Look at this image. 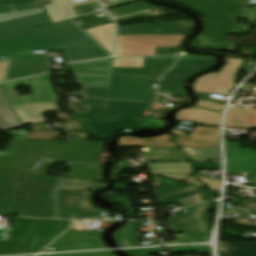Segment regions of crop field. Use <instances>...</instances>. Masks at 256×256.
Instances as JSON below:
<instances>
[{"label": "crop field", "mask_w": 256, "mask_h": 256, "mask_svg": "<svg viewBox=\"0 0 256 256\" xmlns=\"http://www.w3.org/2000/svg\"><path fill=\"white\" fill-rule=\"evenodd\" d=\"M54 49H64L68 62L111 55L71 20L0 38V60L12 58L6 81L48 71L46 55L31 51Z\"/></svg>", "instance_id": "1"}, {"label": "crop field", "mask_w": 256, "mask_h": 256, "mask_svg": "<svg viewBox=\"0 0 256 256\" xmlns=\"http://www.w3.org/2000/svg\"><path fill=\"white\" fill-rule=\"evenodd\" d=\"M186 6L205 19L204 32L189 44L205 50L232 51L234 42L229 35L241 36L256 23V11L247 10L250 0H178L170 1ZM236 18H250L251 26L234 24Z\"/></svg>", "instance_id": "2"}, {"label": "crop field", "mask_w": 256, "mask_h": 256, "mask_svg": "<svg viewBox=\"0 0 256 256\" xmlns=\"http://www.w3.org/2000/svg\"><path fill=\"white\" fill-rule=\"evenodd\" d=\"M151 104L109 101L108 107L85 106L83 114H72L85 129L99 139L108 140L117 130L165 127L163 120H139Z\"/></svg>", "instance_id": "3"}, {"label": "crop field", "mask_w": 256, "mask_h": 256, "mask_svg": "<svg viewBox=\"0 0 256 256\" xmlns=\"http://www.w3.org/2000/svg\"><path fill=\"white\" fill-rule=\"evenodd\" d=\"M70 222L15 217L8 235L0 240V255L39 252Z\"/></svg>", "instance_id": "4"}, {"label": "crop field", "mask_w": 256, "mask_h": 256, "mask_svg": "<svg viewBox=\"0 0 256 256\" xmlns=\"http://www.w3.org/2000/svg\"><path fill=\"white\" fill-rule=\"evenodd\" d=\"M60 178L25 174L15 215L57 218L54 190Z\"/></svg>", "instance_id": "5"}, {"label": "crop field", "mask_w": 256, "mask_h": 256, "mask_svg": "<svg viewBox=\"0 0 256 256\" xmlns=\"http://www.w3.org/2000/svg\"><path fill=\"white\" fill-rule=\"evenodd\" d=\"M103 152L102 143L53 141L46 146L26 173L46 175L55 160L98 163Z\"/></svg>", "instance_id": "6"}, {"label": "crop field", "mask_w": 256, "mask_h": 256, "mask_svg": "<svg viewBox=\"0 0 256 256\" xmlns=\"http://www.w3.org/2000/svg\"><path fill=\"white\" fill-rule=\"evenodd\" d=\"M152 84L112 81L111 88L85 86L86 98L154 103Z\"/></svg>", "instance_id": "7"}, {"label": "crop field", "mask_w": 256, "mask_h": 256, "mask_svg": "<svg viewBox=\"0 0 256 256\" xmlns=\"http://www.w3.org/2000/svg\"><path fill=\"white\" fill-rule=\"evenodd\" d=\"M185 36H117L115 56L155 55V47H181V42Z\"/></svg>", "instance_id": "8"}, {"label": "crop field", "mask_w": 256, "mask_h": 256, "mask_svg": "<svg viewBox=\"0 0 256 256\" xmlns=\"http://www.w3.org/2000/svg\"><path fill=\"white\" fill-rule=\"evenodd\" d=\"M51 78L52 75L51 73H49L41 77L3 83L0 84V90L4 95L5 99L7 100L8 104L57 101L50 82ZM19 84L31 87L32 95H18L14 89L17 88Z\"/></svg>", "instance_id": "9"}, {"label": "crop field", "mask_w": 256, "mask_h": 256, "mask_svg": "<svg viewBox=\"0 0 256 256\" xmlns=\"http://www.w3.org/2000/svg\"><path fill=\"white\" fill-rule=\"evenodd\" d=\"M92 192L57 191L59 217L69 219L74 214L76 219L101 216L102 210L90 201Z\"/></svg>", "instance_id": "10"}, {"label": "crop field", "mask_w": 256, "mask_h": 256, "mask_svg": "<svg viewBox=\"0 0 256 256\" xmlns=\"http://www.w3.org/2000/svg\"><path fill=\"white\" fill-rule=\"evenodd\" d=\"M114 58L68 64L80 85L110 87Z\"/></svg>", "instance_id": "11"}, {"label": "crop field", "mask_w": 256, "mask_h": 256, "mask_svg": "<svg viewBox=\"0 0 256 256\" xmlns=\"http://www.w3.org/2000/svg\"><path fill=\"white\" fill-rule=\"evenodd\" d=\"M228 64L218 74H210L198 78L193 86L196 91L205 93L229 94L233 89L236 74L241 60L227 59Z\"/></svg>", "instance_id": "12"}, {"label": "crop field", "mask_w": 256, "mask_h": 256, "mask_svg": "<svg viewBox=\"0 0 256 256\" xmlns=\"http://www.w3.org/2000/svg\"><path fill=\"white\" fill-rule=\"evenodd\" d=\"M211 203L188 208L189 213L176 214L174 228L186 233L188 237L209 235L207 221Z\"/></svg>", "instance_id": "13"}, {"label": "crop field", "mask_w": 256, "mask_h": 256, "mask_svg": "<svg viewBox=\"0 0 256 256\" xmlns=\"http://www.w3.org/2000/svg\"><path fill=\"white\" fill-rule=\"evenodd\" d=\"M227 172H249L252 186L256 187V152L240 149V143L227 142Z\"/></svg>", "instance_id": "14"}, {"label": "crop field", "mask_w": 256, "mask_h": 256, "mask_svg": "<svg viewBox=\"0 0 256 256\" xmlns=\"http://www.w3.org/2000/svg\"><path fill=\"white\" fill-rule=\"evenodd\" d=\"M24 172L5 170L0 178V215H12Z\"/></svg>", "instance_id": "15"}, {"label": "crop field", "mask_w": 256, "mask_h": 256, "mask_svg": "<svg viewBox=\"0 0 256 256\" xmlns=\"http://www.w3.org/2000/svg\"><path fill=\"white\" fill-rule=\"evenodd\" d=\"M100 236L101 232L69 230L51 247L56 251L105 248Z\"/></svg>", "instance_id": "16"}, {"label": "crop field", "mask_w": 256, "mask_h": 256, "mask_svg": "<svg viewBox=\"0 0 256 256\" xmlns=\"http://www.w3.org/2000/svg\"><path fill=\"white\" fill-rule=\"evenodd\" d=\"M192 27V21L123 26L118 27L117 35L188 34Z\"/></svg>", "instance_id": "17"}, {"label": "crop field", "mask_w": 256, "mask_h": 256, "mask_svg": "<svg viewBox=\"0 0 256 256\" xmlns=\"http://www.w3.org/2000/svg\"><path fill=\"white\" fill-rule=\"evenodd\" d=\"M216 58H199L189 57L188 59H179L175 68L165 74L164 77H174L179 79H187L190 75L201 70L208 69L214 66ZM161 83L184 85L185 81L174 79H162Z\"/></svg>", "instance_id": "18"}, {"label": "crop field", "mask_w": 256, "mask_h": 256, "mask_svg": "<svg viewBox=\"0 0 256 256\" xmlns=\"http://www.w3.org/2000/svg\"><path fill=\"white\" fill-rule=\"evenodd\" d=\"M177 59L178 57L144 58L145 68H113V73L162 77L164 71L172 68Z\"/></svg>", "instance_id": "19"}, {"label": "crop field", "mask_w": 256, "mask_h": 256, "mask_svg": "<svg viewBox=\"0 0 256 256\" xmlns=\"http://www.w3.org/2000/svg\"><path fill=\"white\" fill-rule=\"evenodd\" d=\"M172 132L179 135L176 141L180 146H218L217 128L195 126L190 137L176 128Z\"/></svg>", "instance_id": "20"}, {"label": "crop field", "mask_w": 256, "mask_h": 256, "mask_svg": "<svg viewBox=\"0 0 256 256\" xmlns=\"http://www.w3.org/2000/svg\"><path fill=\"white\" fill-rule=\"evenodd\" d=\"M22 124L46 122L43 119L45 112H58L55 102L11 105Z\"/></svg>", "instance_id": "21"}, {"label": "crop field", "mask_w": 256, "mask_h": 256, "mask_svg": "<svg viewBox=\"0 0 256 256\" xmlns=\"http://www.w3.org/2000/svg\"><path fill=\"white\" fill-rule=\"evenodd\" d=\"M47 12L0 23V36L51 24Z\"/></svg>", "instance_id": "22"}, {"label": "crop field", "mask_w": 256, "mask_h": 256, "mask_svg": "<svg viewBox=\"0 0 256 256\" xmlns=\"http://www.w3.org/2000/svg\"><path fill=\"white\" fill-rule=\"evenodd\" d=\"M49 143L47 141H25L18 150L7 169L25 171L40 151Z\"/></svg>", "instance_id": "23"}, {"label": "crop field", "mask_w": 256, "mask_h": 256, "mask_svg": "<svg viewBox=\"0 0 256 256\" xmlns=\"http://www.w3.org/2000/svg\"><path fill=\"white\" fill-rule=\"evenodd\" d=\"M152 175L184 182L192 174L189 163H151L147 164Z\"/></svg>", "instance_id": "24"}, {"label": "crop field", "mask_w": 256, "mask_h": 256, "mask_svg": "<svg viewBox=\"0 0 256 256\" xmlns=\"http://www.w3.org/2000/svg\"><path fill=\"white\" fill-rule=\"evenodd\" d=\"M53 4L45 5L47 12L50 14L53 22H59L71 18H75L76 15L72 9V6L88 4L97 2V0H88L82 2H73L71 0H53Z\"/></svg>", "instance_id": "25"}, {"label": "crop field", "mask_w": 256, "mask_h": 256, "mask_svg": "<svg viewBox=\"0 0 256 256\" xmlns=\"http://www.w3.org/2000/svg\"><path fill=\"white\" fill-rule=\"evenodd\" d=\"M220 113L198 108H189L177 113L178 121L197 122L209 126L218 127Z\"/></svg>", "instance_id": "26"}, {"label": "crop field", "mask_w": 256, "mask_h": 256, "mask_svg": "<svg viewBox=\"0 0 256 256\" xmlns=\"http://www.w3.org/2000/svg\"><path fill=\"white\" fill-rule=\"evenodd\" d=\"M43 11L38 2L0 5V22Z\"/></svg>", "instance_id": "27"}, {"label": "crop field", "mask_w": 256, "mask_h": 256, "mask_svg": "<svg viewBox=\"0 0 256 256\" xmlns=\"http://www.w3.org/2000/svg\"><path fill=\"white\" fill-rule=\"evenodd\" d=\"M7 135L13 134L11 140L9 141L6 148L0 152V176L12 161L13 157L15 156L17 150L19 149L22 142L25 140L28 132L26 129L17 130L12 132H6Z\"/></svg>", "instance_id": "28"}, {"label": "crop field", "mask_w": 256, "mask_h": 256, "mask_svg": "<svg viewBox=\"0 0 256 256\" xmlns=\"http://www.w3.org/2000/svg\"><path fill=\"white\" fill-rule=\"evenodd\" d=\"M71 166L72 170L65 175V179L105 181L101 176L103 168L98 164H71Z\"/></svg>", "instance_id": "29"}, {"label": "crop field", "mask_w": 256, "mask_h": 256, "mask_svg": "<svg viewBox=\"0 0 256 256\" xmlns=\"http://www.w3.org/2000/svg\"><path fill=\"white\" fill-rule=\"evenodd\" d=\"M147 162L156 161H186L187 158L177 148L142 149Z\"/></svg>", "instance_id": "30"}, {"label": "crop field", "mask_w": 256, "mask_h": 256, "mask_svg": "<svg viewBox=\"0 0 256 256\" xmlns=\"http://www.w3.org/2000/svg\"><path fill=\"white\" fill-rule=\"evenodd\" d=\"M171 135H163L152 139H134L129 137L120 138V147H176L175 144L168 142Z\"/></svg>", "instance_id": "31"}, {"label": "crop field", "mask_w": 256, "mask_h": 256, "mask_svg": "<svg viewBox=\"0 0 256 256\" xmlns=\"http://www.w3.org/2000/svg\"><path fill=\"white\" fill-rule=\"evenodd\" d=\"M114 24L111 23V24L85 30L111 54L113 51V41H114V32H115Z\"/></svg>", "instance_id": "32"}, {"label": "crop field", "mask_w": 256, "mask_h": 256, "mask_svg": "<svg viewBox=\"0 0 256 256\" xmlns=\"http://www.w3.org/2000/svg\"><path fill=\"white\" fill-rule=\"evenodd\" d=\"M130 223L129 226H124L118 231L114 232V236L116 241L120 247H130V246H146V245H135V238L137 237L135 232V227L137 225V221H128ZM128 236V238H125ZM161 244L160 241H151V244L147 245H156Z\"/></svg>", "instance_id": "33"}, {"label": "crop field", "mask_w": 256, "mask_h": 256, "mask_svg": "<svg viewBox=\"0 0 256 256\" xmlns=\"http://www.w3.org/2000/svg\"><path fill=\"white\" fill-rule=\"evenodd\" d=\"M228 256H256V242L222 243ZM225 256V253H220Z\"/></svg>", "instance_id": "34"}, {"label": "crop field", "mask_w": 256, "mask_h": 256, "mask_svg": "<svg viewBox=\"0 0 256 256\" xmlns=\"http://www.w3.org/2000/svg\"><path fill=\"white\" fill-rule=\"evenodd\" d=\"M18 126H21L20 122L0 92V129L8 130Z\"/></svg>", "instance_id": "35"}, {"label": "crop field", "mask_w": 256, "mask_h": 256, "mask_svg": "<svg viewBox=\"0 0 256 256\" xmlns=\"http://www.w3.org/2000/svg\"><path fill=\"white\" fill-rule=\"evenodd\" d=\"M190 161L219 160L218 148H183Z\"/></svg>", "instance_id": "36"}, {"label": "crop field", "mask_w": 256, "mask_h": 256, "mask_svg": "<svg viewBox=\"0 0 256 256\" xmlns=\"http://www.w3.org/2000/svg\"><path fill=\"white\" fill-rule=\"evenodd\" d=\"M84 29L113 22L106 12L74 19Z\"/></svg>", "instance_id": "37"}, {"label": "crop field", "mask_w": 256, "mask_h": 256, "mask_svg": "<svg viewBox=\"0 0 256 256\" xmlns=\"http://www.w3.org/2000/svg\"><path fill=\"white\" fill-rule=\"evenodd\" d=\"M154 6L142 1L135 4L127 5L117 9L109 10V13L114 17H120L134 12L142 11L145 9L153 8Z\"/></svg>", "instance_id": "38"}, {"label": "crop field", "mask_w": 256, "mask_h": 256, "mask_svg": "<svg viewBox=\"0 0 256 256\" xmlns=\"http://www.w3.org/2000/svg\"><path fill=\"white\" fill-rule=\"evenodd\" d=\"M226 127L256 128V119L227 118Z\"/></svg>", "instance_id": "39"}, {"label": "crop field", "mask_w": 256, "mask_h": 256, "mask_svg": "<svg viewBox=\"0 0 256 256\" xmlns=\"http://www.w3.org/2000/svg\"><path fill=\"white\" fill-rule=\"evenodd\" d=\"M114 67H144L143 58H115Z\"/></svg>", "instance_id": "40"}, {"label": "crop field", "mask_w": 256, "mask_h": 256, "mask_svg": "<svg viewBox=\"0 0 256 256\" xmlns=\"http://www.w3.org/2000/svg\"><path fill=\"white\" fill-rule=\"evenodd\" d=\"M94 184V182L89 181H71L63 179L59 189H87Z\"/></svg>", "instance_id": "41"}, {"label": "crop field", "mask_w": 256, "mask_h": 256, "mask_svg": "<svg viewBox=\"0 0 256 256\" xmlns=\"http://www.w3.org/2000/svg\"><path fill=\"white\" fill-rule=\"evenodd\" d=\"M159 93L171 94V96H186L184 86L178 85L161 84L159 87Z\"/></svg>", "instance_id": "42"}, {"label": "crop field", "mask_w": 256, "mask_h": 256, "mask_svg": "<svg viewBox=\"0 0 256 256\" xmlns=\"http://www.w3.org/2000/svg\"><path fill=\"white\" fill-rule=\"evenodd\" d=\"M228 117L256 118V109H242L231 107Z\"/></svg>", "instance_id": "43"}, {"label": "crop field", "mask_w": 256, "mask_h": 256, "mask_svg": "<svg viewBox=\"0 0 256 256\" xmlns=\"http://www.w3.org/2000/svg\"><path fill=\"white\" fill-rule=\"evenodd\" d=\"M160 78L148 77V76H130V75H114L112 80L122 81H143V82H158Z\"/></svg>", "instance_id": "44"}, {"label": "crop field", "mask_w": 256, "mask_h": 256, "mask_svg": "<svg viewBox=\"0 0 256 256\" xmlns=\"http://www.w3.org/2000/svg\"><path fill=\"white\" fill-rule=\"evenodd\" d=\"M72 96H82L83 99L78 100L81 105L107 106L108 101L85 99L84 86H81V93H71Z\"/></svg>", "instance_id": "45"}, {"label": "crop field", "mask_w": 256, "mask_h": 256, "mask_svg": "<svg viewBox=\"0 0 256 256\" xmlns=\"http://www.w3.org/2000/svg\"><path fill=\"white\" fill-rule=\"evenodd\" d=\"M168 249L171 251V253L192 251H199L200 253H210V249L208 246L168 247Z\"/></svg>", "instance_id": "46"}, {"label": "crop field", "mask_w": 256, "mask_h": 256, "mask_svg": "<svg viewBox=\"0 0 256 256\" xmlns=\"http://www.w3.org/2000/svg\"><path fill=\"white\" fill-rule=\"evenodd\" d=\"M190 178V177H189ZM199 180H201L202 182L208 184L211 188L212 191H217L219 189L220 186V181L217 180H210V179H204V178H199L197 177ZM185 183L188 184H192V185H196V186H200V187H204L203 184L199 183L198 181H196L193 177H191L190 179H188Z\"/></svg>", "instance_id": "47"}, {"label": "crop field", "mask_w": 256, "mask_h": 256, "mask_svg": "<svg viewBox=\"0 0 256 256\" xmlns=\"http://www.w3.org/2000/svg\"><path fill=\"white\" fill-rule=\"evenodd\" d=\"M77 16H83L91 13H95V8H101L98 3L94 4H88V5H82V6H76L73 7Z\"/></svg>", "instance_id": "48"}, {"label": "crop field", "mask_w": 256, "mask_h": 256, "mask_svg": "<svg viewBox=\"0 0 256 256\" xmlns=\"http://www.w3.org/2000/svg\"><path fill=\"white\" fill-rule=\"evenodd\" d=\"M63 132L29 133L26 139L54 140Z\"/></svg>", "instance_id": "49"}, {"label": "crop field", "mask_w": 256, "mask_h": 256, "mask_svg": "<svg viewBox=\"0 0 256 256\" xmlns=\"http://www.w3.org/2000/svg\"><path fill=\"white\" fill-rule=\"evenodd\" d=\"M43 256H115V255L109 251H100V252L55 254V255H43Z\"/></svg>", "instance_id": "50"}, {"label": "crop field", "mask_w": 256, "mask_h": 256, "mask_svg": "<svg viewBox=\"0 0 256 256\" xmlns=\"http://www.w3.org/2000/svg\"><path fill=\"white\" fill-rule=\"evenodd\" d=\"M203 195H205V193L197 195V196H193V197H190V198H186V199H183V200L176 201V203H178L180 206L184 207V206L196 204V203H199V202H203V201H206L204 198H202ZM172 203H174V202H172ZM169 204H171V203H169ZM169 204H165V206L169 205Z\"/></svg>", "instance_id": "51"}, {"label": "crop field", "mask_w": 256, "mask_h": 256, "mask_svg": "<svg viewBox=\"0 0 256 256\" xmlns=\"http://www.w3.org/2000/svg\"><path fill=\"white\" fill-rule=\"evenodd\" d=\"M204 192H205V189L200 188V189L190 191V192H187V193H184V194L172 197V198L162 200V202H163V204H165V203H169V202H172V201H176V200H179V199H183V198L190 197V196L197 195V194L204 193Z\"/></svg>", "instance_id": "52"}, {"label": "crop field", "mask_w": 256, "mask_h": 256, "mask_svg": "<svg viewBox=\"0 0 256 256\" xmlns=\"http://www.w3.org/2000/svg\"><path fill=\"white\" fill-rule=\"evenodd\" d=\"M238 206L247 209L252 215H256V202L244 199L238 203Z\"/></svg>", "instance_id": "53"}, {"label": "crop field", "mask_w": 256, "mask_h": 256, "mask_svg": "<svg viewBox=\"0 0 256 256\" xmlns=\"http://www.w3.org/2000/svg\"><path fill=\"white\" fill-rule=\"evenodd\" d=\"M195 169H220L219 162L193 163Z\"/></svg>", "instance_id": "54"}, {"label": "crop field", "mask_w": 256, "mask_h": 256, "mask_svg": "<svg viewBox=\"0 0 256 256\" xmlns=\"http://www.w3.org/2000/svg\"><path fill=\"white\" fill-rule=\"evenodd\" d=\"M166 250L164 248H153V249H138V250H125L132 256H149L147 253L151 251Z\"/></svg>", "instance_id": "55"}, {"label": "crop field", "mask_w": 256, "mask_h": 256, "mask_svg": "<svg viewBox=\"0 0 256 256\" xmlns=\"http://www.w3.org/2000/svg\"><path fill=\"white\" fill-rule=\"evenodd\" d=\"M65 124L68 131H86L78 120H68Z\"/></svg>", "instance_id": "56"}, {"label": "crop field", "mask_w": 256, "mask_h": 256, "mask_svg": "<svg viewBox=\"0 0 256 256\" xmlns=\"http://www.w3.org/2000/svg\"><path fill=\"white\" fill-rule=\"evenodd\" d=\"M10 60L11 59L0 61V82L6 80Z\"/></svg>", "instance_id": "57"}, {"label": "crop field", "mask_w": 256, "mask_h": 256, "mask_svg": "<svg viewBox=\"0 0 256 256\" xmlns=\"http://www.w3.org/2000/svg\"><path fill=\"white\" fill-rule=\"evenodd\" d=\"M197 188H200V187H195V186L187 187V188H184V189L172 192V193H168V194L159 196V198H160V200H162V199H165V198H168V197H172V196H175V195H178V194L190 191V190L197 189Z\"/></svg>", "instance_id": "58"}, {"label": "crop field", "mask_w": 256, "mask_h": 256, "mask_svg": "<svg viewBox=\"0 0 256 256\" xmlns=\"http://www.w3.org/2000/svg\"><path fill=\"white\" fill-rule=\"evenodd\" d=\"M187 186H191V185H187L185 183H182V184H178V185H175V186H172V187H168V188H165V189H162V190H158L157 191L158 192V196L162 195V194H165V193H168V192H171V191H175V190L187 187Z\"/></svg>", "instance_id": "59"}, {"label": "crop field", "mask_w": 256, "mask_h": 256, "mask_svg": "<svg viewBox=\"0 0 256 256\" xmlns=\"http://www.w3.org/2000/svg\"><path fill=\"white\" fill-rule=\"evenodd\" d=\"M197 105L206 107V108H210V109H214V110H218V111H221V109L223 107L221 105H217V104H213V103H209V102H205V101H201V100L198 101Z\"/></svg>", "instance_id": "60"}, {"label": "crop field", "mask_w": 256, "mask_h": 256, "mask_svg": "<svg viewBox=\"0 0 256 256\" xmlns=\"http://www.w3.org/2000/svg\"><path fill=\"white\" fill-rule=\"evenodd\" d=\"M175 237L177 238L178 241H175V242H165V244L190 243L188 237L185 234H178V235H175ZM179 239H183V240H179Z\"/></svg>", "instance_id": "61"}, {"label": "crop field", "mask_w": 256, "mask_h": 256, "mask_svg": "<svg viewBox=\"0 0 256 256\" xmlns=\"http://www.w3.org/2000/svg\"><path fill=\"white\" fill-rule=\"evenodd\" d=\"M69 136H75L76 138H87V133L82 132H69Z\"/></svg>", "instance_id": "62"}, {"label": "crop field", "mask_w": 256, "mask_h": 256, "mask_svg": "<svg viewBox=\"0 0 256 256\" xmlns=\"http://www.w3.org/2000/svg\"><path fill=\"white\" fill-rule=\"evenodd\" d=\"M242 210L241 208H238V207H234V208H230V209H226L223 211V216H226V215H229L231 213H234V212H237V211H240Z\"/></svg>", "instance_id": "63"}, {"label": "crop field", "mask_w": 256, "mask_h": 256, "mask_svg": "<svg viewBox=\"0 0 256 256\" xmlns=\"http://www.w3.org/2000/svg\"><path fill=\"white\" fill-rule=\"evenodd\" d=\"M209 236H203V237H195V238H190L192 243L195 242H202V241H207Z\"/></svg>", "instance_id": "64"}, {"label": "crop field", "mask_w": 256, "mask_h": 256, "mask_svg": "<svg viewBox=\"0 0 256 256\" xmlns=\"http://www.w3.org/2000/svg\"><path fill=\"white\" fill-rule=\"evenodd\" d=\"M116 200L119 203H123V204H126V205L130 206L128 198H118Z\"/></svg>", "instance_id": "65"}, {"label": "crop field", "mask_w": 256, "mask_h": 256, "mask_svg": "<svg viewBox=\"0 0 256 256\" xmlns=\"http://www.w3.org/2000/svg\"><path fill=\"white\" fill-rule=\"evenodd\" d=\"M237 222L242 223V224H246V225H252V226H255V227H256V222L253 223V224H248V223H246V222L243 221V220H240V221H237Z\"/></svg>", "instance_id": "66"}, {"label": "crop field", "mask_w": 256, "mask_h": 256, "mask_svg": "<svg viewBox=\"0 0 256 256\" xmlns=\"http://www.w3.org/2000/svg\"><path fill=\"white\" fill-rule=\"evenodd\" d=\"M132 213H133V209H132V208H129L127 217H128V218H131V217H132Z\"/></svg>", "instance_id": "67"}, {"label": "crop field", "mask_w": 256, "mask_h": 256, "mask_svg": "<svg viewBox=\"0 0 256 256\" xmlns=\"http://www.w3.org/2000/svg\"><path fill=\"white\" fill-rule=\"evenodd\" d=\"M14 1H19V0H0V3H4V2H14Z\"/></svg>", "instance_id": "68"}, {"label": "crop field", "mask_w": 256, "mask_h": 256, "mask_svg": "<svg viewBox=\"0 0 256 256\" xmlns=\"http://www.w3.org/2000/svg\"><path fill=\"white\" fill-rule=\"evenodd\" d=\"M4 229L0 228V238L3 237L4 235H1L3 233Z\"/></svg>", "instance_id": "69"}]
</instances>
